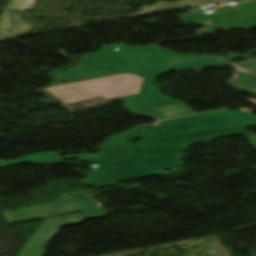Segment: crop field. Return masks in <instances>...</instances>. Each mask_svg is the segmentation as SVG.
I'll return each mask as SVG.
<instances>
[{
	"mask_svg": "<svg viewBox=\"0 0 256 256\" xmlns=\"http://www.w3.org/2000/svg\"><path fill=\"white\" fill-rule=\"evenodd\" d=\"M239 134L226 128L203 133L185 135L165 140L145 143L144 146L132 145L125 150L109 169V171L95 184L94 188H104L116 185L120 181L140 179L155 175H168L163 170L176 169L181 164L176 154L185 152L186 147L195 143H207L213 139Z\"/></svg>",
	"mask_w": 256,
	"mask_h": 256,
	"instance_id": "crop-field-1",
	"label": "crop field"
},
{
	"mask_svg": "<svg viewBox=\"0 0 256 256\" xmlns=\"http://www.w3.org/2000/svg\"><path fill=\"white\" fill-rule=\"evenodd\" d=\"M142 80L143 78L139 76L125 74L53 87L47 90L59 97L65 103L71 104L93 97L111 99L124 95L136 94L139 92Z\"/></svg>",
	"mask_w": 256,
	"mask_h": 256,
	"instance_id": "crop-field-2",
	"label": "crop field"
},
{
	"mask_svg": "<svg viewBox=\"0 0 256 256\" xmlns=\"http://www.w3.org/2000/svg\"><path fill=\"white\" fill-rule=\"evenodd\" d=\"M256 122L250 114L217 111L192 117L169 120L147 133L142 139L150 141L159 138L190 134L220 127Z\"/></svg>",
	"mask_w": 256,
	"mask_h": 256,
	"instance_id": "crop-field-3",
	"label": "crop field"
},
{
	"mask_svg": "<svg viewBox=\"0 0 256 256\" xmlns=\"http://www.w3.org/2000/svg\"><path fill=\"white\" fill-rule=\"evenodd\" d=\"M154 44L150 48L141 47H117L118 51H111L114 46L104 47L94 55H87L84 62L109 67L125 72L159 67L160 64L154 55Z\"/></svg>",
	"mask_w": 256,
	"mask_h": 256,
	"instance_id": "crop-field-4",
	"label": "crop field"
},
{
	"mask_svg": "<svg viewBox=\"0 0 256 256\" xmlns=\"http://www.w3.org/2000/svg\"><path fill=\"white\" fill-rule=\"evenodd\" d=\"M225 65L228 64L221 57H217L182 64H176L131 74H138L146 78L142 84L140 94L142 95L143 99L147 102V104L151 108H153L169 104L180 103V101L164 97L156 87H153L156 76L172 70L184 71L192 68H214Z\"/></svg>",
	"mask_w": 256,
	"mask_h": 256,
	"instance_id": "crop-field-5",
	"label": "crop field"
},
{
	"mask_svg": "<svg viewBox=\"0 0 256 256\" xmlns=\"http://www.w3.org/2000/svg\"><path fill=\"white\" fill-rule=\"evenodd\" d=\"M74 221H78L76 223H80L82 221V218L80 217L79 214L67 215L59 218L46 219L43 222V224L40 226V228L37 230V232L34 234V236L31 238V240L28 242V244L24 247V249L22 250L19 256H30L35 250V248L37 247V245L40 243L42 238L49 232L48 235L45 237V239L42 241V243L39 245L37 250L32 255V256H37L40 250L49 240V238L56 232L59 226L75 224V223H70Z\"/></svg>",
	"mask_w": 256,
	"mask_h": 256,
	"instance_id": "crop-field-6",
	"label": "crop field"
},
{
	"mask_svg": "<svg viewBox=\"0 0 256 256\" xmlns=\"http://www.w3.org/2000/svg\"><path fill=\"white\" fill-rule=\"evenodd\" d=\"M127 147L128 146H123L119 148L102 150V151H99L96 157L82 154V155H76L71 157L34 162L33 164H44V165L57 164V163H61L65 159H69L72 157H78L79 160L83 162H92V163L98 164L100 166L93 172V174L84 183V185L93 187L94 183L99 179V177L103 174V172L110 166L113 160L119 155V153L122 150H124Z\"/></svg>",
	"mask_w": 256,
	"mask_h": 256,
	"instance_id": "crop-field-7",
	"label": "crop field"
},
{
	"mask_svg": "<svg viewBox=\"0 0 256 256\" xmlns=\"http://www.w3.org/2000/svg\"><path fill=\"white\" fill-rule=\"evenodd\" d=\"M76 212H81L85 219H95L106 216L104 210L97 209L92 204L91 197H88L60 202L49 218Z\"/></svg>",
	"mask_w": 256,
	"mask_h": 256,
	"instance_id": "crop-field-8",
	"label": "crop field"
},
{
	"mask_svg": "<svg viewBox=\"0 0 256 256\" xmlns=\"http://www.w3.org/2000/svg\"><path fill=\"white\" fill-rule=\"evenodd\" d=\"M117 74H123V73L88 65V64H83L72 70L57 74L56 82H57V85H59L61 84L62 80H65L66 83H69V82H75V81H81V80H87V79H93V78H99V77H105V76H111V75H117Z\"/></svg>",
	"mask_w": 256,
	"mask_h": 256,
	"instance_id": "crop-field-9",
	"label": "crop field"
},
{
	"mask_svg": "<svg viewBox=\"0 0 256 256\" xmlns=\"http://www.w3.org/2000/svg\"><path fill=\"white\" fill-rule=\"evenodd\" d=\"M55 204L56 202L17 210H11L3 212L2 214L10 224L42 219L49 214V212Z\"/></svg>",
	"mask_w": 256,
	"mask_h": 256,
	"instance_id": "crop-field-10",
	"label": "crop field"
},
{
	"mask_svg": "<svg viewBox=\"0 0 256 256\" xmlns=\"http://www.w3.org/2000/svg\"><path fill=\"white\" fill-rule=\"evenodd\" d=\"M241 9L233 11V7L230 10H226L222 13L209 14L215 27L226 24L235 18L244 17L248 15L256 14V1L241 4Z\"/></svg>",
	"mask_w": 256,
	"mask_h": 256,
	"instance_id": "crop-field-11",
	"label": "crop field"
},
{
	"mask_svg": "<svg viewBox=\"0 0 256 256\" xmlns=\"http://www.w3.org/2000/svg\"><path fill=\"white\" fill-rule=\"evenodd\" d=\"M155 125L151 126H143L139 127L130 133L118 135L116 137H112L107 143H105L102 147L98 148L97 150L113 148L125 145L130 139L137 140L142 135L146 134L149 130H151Z\"/></svg>",
	"mask_w": 256,
	"mask_h": 256,
	"instance_id": "crop-field-12",
	"label": "crop field"
},
{
	"mask_svg": "<svg viewBox=\"0 0 256 256\" xmlns=\"http://www.w3.org/2000/svg\"><path fill=\"white\" fill-rule=\"evenodd\" d=\"M153 111L160 119H166L194 113L190 108H188L183 103L154 108Z\"/></svg>",
	"mask_w": 256,
	"mask_h": 256,
	"instance_id": "crop-field-13",
	"label": "crop field"
},
{
	"mask_svg": "<svg viewBox=\"0 0 256 256\" xmlns=\"http://www.w3.org/2000/svg\"><path fill=\"white\" fill-rule=\"evenodd\" d=\"M156 53H157V55H158V57H159L163 66L208 57L207 55L191 56V55L174 54V53L169 52L167 50L158 51Z\"/></svg>",
	"mask_w": 256,
	"mask_h": 256,
	"instance_id": "crop-field-14",
	"label": "crop field"
},
{
	"mask_svg": "<svg viewBox=\"0 0 256 256\" xmlns=\"http://www.w3.org/2000/svg\"><path fill=\"white\" fill-rule=\"evenodd\" d=\"M232 87L243 91L256 89V75L245 73L236 68V78Z\"/></svg>",
	"mask_w": 256,
	"mask_h": 256,
	"instance_id": "crop-field-15",
	"label": "crop field"
},
{
	"mask_svg": "<svg viewBox=\"0 0 256 256\" xmlns=\"http://www.w3.org/2000/svg\"><path fill=\"white\" fill-rule=\"evenodd\" d=\"M57 157H60V156H58L56 154H52V153H43V154L27 156L20 160H15V161L0 160V168L12 166V165L19 164V163L34 162V161H40V160H45V159L57 158Z\"/></svg>",
	"mask_w": 256,
	"mask_h": 256,
	"instance_id": "crop-field-16",
	"label": "crop field"
},
{
	"mask_svg": "<svg viewBox=\"0 0 256 256\" xmlns=\"http://www.w3.org/2000/svg\"><path fill=\"white\" fill-rule=\"evenodd\" d=\"M256 27V15L249 16L235 22L229 23L218 29L220 30H229V29H248Z\"/></svg>",
	"mask_w": 256,
	"mask_h": 256,
	"instance_id": "crop-field-17",
	"label": "crop field"
},
{
	"mask_svg": "<svg viewBox=\"0 0 256 256\" xmlns=\"http://www.w3.org/2000/svg\"><path fill=\"white\" fill-rule=\"evenodd\" d=\"M120 99H122L124 101L126 108L130 111H136V110L148 108L145 105V103L141 100V98L138 94L120 97Z\"/></svg>",
	"mask_w": 256,
	"mask_h": 256,
	"instance_id": "crop-field-18",
	"label": "crop field"
},
{
	"mask_svg": "<svg viewBox=\"0 0 256 256\" xmlns=\"http://www.w3.org/2000/svg\"><path fill=\"white\" fill-rule=\"evenodd\" d=\"M180 17L185 22V24H201L210 30L213 29L212 26L203 24L205 20H208V17L206 15H203L200 12H194L192 14L182 15Z\"/></svg>",
	"mask_w": 256,
	"mask_h": 256,
	"instance_id": "crop-field-19",
	"label": "crop field"
},
{
	"mask_svg": "<svg viewBox=\"0 0 256 256\" xmlns=\"http://www.w3.org/2000/svg\"><path fill=\"white\" fill-rule=\"evenodd\" d=\"M34 0H10L8 8L13 10L26 9Z\"/></svg>",
	"mask_w": 256,
	"mask_h": 256,
	"instance_id": "crop-field-20",
	"label": "crop field"
},
{
	"mask_svg": "<svg viewBox=\"0 0 256 256\" xmlns=\"http://www.w3.org/2000/svg\"><path fill=\"white\" fill-rule=\"evenodd\" d=\"M238 67L247 72L256 73V62L240 64Z\"/></svg>",
	"mask_w": 256,
	"mask_h": 256,
	"instance_id": "crop-field-21",
	"label": "crop field"
},
{
	"mask_svg": "<svg viewBox=\"0 0 256 256\" xmlns=\"http://www.w3.org/2000/svg\"><path fill=\"white\" fill-rule=\"evenodd\" d=\"M251 125H256V124H251ZM246 126H248V125L234 126V127H230V128H232V129H234V130H236V131H238V132H240V133H242V134H244L248 137H251L250 134H248L247 132L244 131Z\"/></svg>",
	"mask_w": 256,
	"mask_h": 256,
	"instance_id": "crop-field-22",
	"label": "crop field"
},
{
	"mask_svg": "<svg viewBox=\"0 0 256 256\" xmlns=\"http://www.w3.org/2000/svg\"><path fill=\"white\" fill-rule=\"evenodd\" d=\"M85 195H88V194L83 193V192H79V193H75V194L62 196V197H60V200L74 198V197H80V196H85Z\"/></svg>",
	"mask_w": 256,
	"mask_h": 256,
	"instance_id": "crop-field-23",
	"label": "crop field"
},
{
	"mask_svg": "<svg viewBox=\"0 0 256 256\" xmlns=\"http://www.w3.org/2000/svg\"><path fill=\"white\" fill-rule=\"evenodd\" d=\"M134 113L139 114V115H144V116H150V117H153L154 119H156L150 109L142 110V111H136V112H134ZM156 120H157V119H156Z\"/></svg>",
	"mask_w": 256,
	"mask_h": 256,
	"instance_id": "crop-field-24",
	"label": "crop field"
},
{
	"mask_svg": "<svg viewBox=\"0 0 256 256\" xmlns=\"http://www.w3.org/2000/svg\"><path fill=\"white\" fill-rule=\"evenodd\" d=\"M234 56L252 59V58H250V57H245V56H241V55L232 54V55L230 56V59H229V60L232 61V59H233Z\"/></svg>",
	"mask_w": 256,
	"mask_h": 256,
	"instance_id": "crop-field-25",
	"label": "crop field"
},
{
	"mask_svg": "<svg viewBox=\"0 0 256 256\" xmlns=\"http://www.w3.org/2000/svg\"><path fill=\"white\" fill-rule=\"evenodd\" d=\"M249 140H250V139H249ZM250 142H251L252 146L256 147V142H254V141H252V140H250Z\"/></svg>",
	"mask_w": 256,
	"mask_h": 256,
	"instance_id": "crop-field-26",
	"label": "crop field"
},
{
	"mask_svg": "<svg viewBox=\"0 0 256 256\" xmlns=\"http://www.w3.org/2000/svg\"><path fill=\"white\" fill-rule=\"evenodd\" d=\"M251 94L255 95L256 96V90H253V91H249Z\"/></svg>",
	"mask_w": 256,
	"mask_h": 256,
	"instance_id": "crop-field-27",
	"label": "crop field"
},
{
	"mask_svg": "<svg viewBox=\"0 0 256 256\" xmlns=\"http://www.w3.org/2000/svg\"><path fill=\"white\" fill-rule=\"evenodd\" d=\"M251 139H253V140H255V141H256V138H251Z\"/></svg>",
	"mask_w": 256,
	"mask_h": 256,
	"instance_id": "crop-field-28",
	"label": "crop field"
},
{
	"mask_svg": "<svg viewBox=\"0 0 256 256\" xmlns=\"http://www.w3.org/2000/svg\"><path fill=\"white\" fill-rule=\"evenodd\" d=\"M256 54V50L253 51Z\"/></svg>",
	"mask_w": 256,
	"mask_h": 256,
	"instance_id": "crop-field-29",
	"label": "crop field"
}]
</instances>
